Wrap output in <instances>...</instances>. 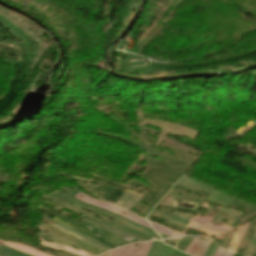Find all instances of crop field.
<instances>
[{
  "label": "crop field",
  "instance_id": "obj_1",
  "mask_svg": "<svg viewBox=\"0 0 256 256\" xmlns=\"http://www.w3.org/2000/svg\"><path fill=\"white\" fill-rule=\"evenodd\" d=\"M52 194H53V195H56V196H59V197H62V198H64V199H66V200H68V201H70V202H72V203H74V204H76V205L82 207V208L87 209V210H90V211H93V212H98V213H101V214L110 216V217L113 218V220H115V221H117V222H120V223H122V224H125V225H127V226H130V227H132V228H135V229H137V230H140V231H142V232H144V233H147V234H149V235H151V236H154V237L160 239V237H159L158 235H156L153 231H151V230H149V229H147V228H145V227H143V226H141V225H139V224H136V223H134V222H132V221H130V220H128V219H125V218H123V217H120V216H117V215H115V214L109 213V212H107V211L101 210V209H99V208L93 207V206H91V205L82 203V202H80V201H78V200H76V199H74V198H72V197H70V196H68V195L63 196V195H61V194H59V193H52Z\"/></svg>",
  "mask_w": 256,
  "mask_h": 256
},
{
  "label": "crop field",
  "instance_id": "obj_2",
  "mask_svg": "<svg viewBox=\"0 0 256 256\" xmlns=\"http://www.w3.org/2000/svg\"><path fill=\"white\" fill-rule=\"evenodd\" d=\"M41 221L59 229V230H61V231L65 232L69 235H72V236H74V237H76V238H78V239H80V240H82V241H84V242H86V243L104 251V252L111 249V248H109V247H107V246H105V245H103V244H101V243H99V242H97V241H95V240H93V239H91V238L73 230V229H70V228H68V227H66V226H64V225L46 217V216H44V215H43Z\"/></svg>",
  "mask_w": 256,
  "mask_h": 256
},
{
  "label": "crop field",
  "instance_id": "obj_3",
  "mask_svg": "<svg viewBox=\"0 0 256 256\" xmlns=\"http://www.w3.org/2000/svg\"><path fill=\"white\" fill-rule=\"evenodd\" d=\"M53 219H55L56 221H58V222H60L62 224H65V225H67V226H69L71 228H74V229H76L78 231H81V232L91 236L92 238H94V239H96V240H98V241H100V242H102V243H104V244H106V245H108V246H110L112 248L121 246V245H119L117 243H114L112 241H109V240L103 238L98 233H96V232H94V231H92V230H90V229H88V228H86V227H84V226H82L80 224H77V223H75V222H73V221H71V220H69V219H67V218H65V217H63V216H61L59 214L57 216H55ZM98 236H100V237H98Z\"/></svg>",
  "mask_w": 256,
  "mask_h": 256
},
{
  "label": "crop field",
  "instance_id": "obj_4",
  "mask_svg": "<svg viewBox=\"0 0 256 256\" xmlns=\"http://www.w3.org/2000/svg\"><path fill=\"white\" fill-rule=\"evenodd\" d=\"M220 212L225 213L226 215H228V217L220 215ZM242 214H243V212H239V211H235V210H231V209L222 207L220 209V211L216 214V216L213 218L212 221L224 223L226 225L233 227L234 223L239 220V218L242 216ZM222 219L227 220V223L223 222Z\"/></svg>",
  "mask_w": 256,
  "mask_h": 256
},
{
  "label": "crop field",
  "instance_id": "obj_5",
  "mask_svg": "<svg viewBox=\"0 0 256 256\" xmlns=\"http://www.w3.org/2000/svg\"><path fill=\"white\" fill-rule=\"evenodd\" d=\"M142 197V195L126 190L123 195L119 198V200L116 202V205H119L121 207H124L126 209L132 208L135 203Z\"/></svg>",
  "mask_w": 256,
  "mask_h": 256
},
{
  "label": "crop field",
  "instance_id": "obj_6",
  "mask_svg": "<svg viewBox=\"0 0 256 256\" xmlns=\"http://www.w3.org/2000/svg\"><path fill=\"white\" fill-rule=\"evenodd\" d=\"M135 244H139V246L134 247V244H129L125 247L110 251L107 256H136L142 243Z\"/></svg>",
  "mask_w": 256,
  "mask_h": 256
},
{
  "label": "crop field",
  "instance_id": "obj_7",
  "mask_svg": "<svg viewBox=\"0 0 256 256\" xmlns=\"http://www.w3.org/2000/svg\"><path fill=\"white\" fill-rule=\"evenodd\" d=\"M83 220L88 222V223H91V224H93L95 226H98V227H100V228H102V229H104V230H106V231H108V232H110V233H112V234H114V235H116V236L126 240V241H129V242L141 241L140 239H138L136 237H133V236L125 234L123 232L117 231V230L112 229L110 227L104 226V225L99 224V223H97L95 221H92V220H89V219H86V218H84Z\"/></svg>",
  "mask_w": 256,
  "mask_h": 256
},
{
  "label": "crop field",
  "instance_id": "obj_8",
  "mask_svg": "<svg viewBox=\"0 0 256 256\" xmlns=\"http://www.w3.org/2000/svg\"><path fill=\"white\" fill-rule=\"evenodd\" d=\"M233 199L234 197L212 190L206 201H210L226 207Z\"/></svg>",
  "mask_w": 256,
  "mask_h": 256
},
{
  "label": "crop field",
  "instance_id": "obj_9",
  "mask_svg": "<svg viewBox=\"0 0 256 256\" xmlns=\"http://www.w3.org/2000/svg\"><path fill=\"white\" fill-rule=\"evenodd\" d=\"M0 244H3V245H6V246H9V247H12L14 249H17V250H20V251H23L27 254H30L32 256H49V255H46V254H43V253H40L38 251H35L29 247H26V246H22L20 244H14V243H6V242H1L0 241Z\"/></svg>",
  "mask_w": 256,
  "mask_h": 256
},
{
  "label": "crop field",
  "instance_id": "obj_10",
  "mask_svg": "<svg viewBox=\"0 0 256 256\" xmlns=\"http://www.w3.org/2000/svg\"><path fill=\"white\" fill-rule=\"evenodd\" d=\"M40 244L45 245V246H48V247H51V248H55V249H60V250L68 251V252H71V253H74V254H77V255H81V256H95V255H92V254L87 253V252L75 250V249L68 248V247L61 246V245L54 244V243H49V242H44V241H42Z\"/></svg>",
  "mask_w": 256,
  "mask_h": 256
},
{
  "label": "crop field",
  "instance_id": "obj_11",
  "mask_svg": "<svg viewBox=\"0 0 256 256\" xmlns=\"http://www.w3.org/2000/svg\"><path fill=\"white\" fill-rule=\"evenodd\" d=\"M80 224L85 225L86 227H88V228L100 233L101 235H103V236H105V237H107L111 240H114V241H116V242H118L122 245L129 244L128 242H125V241L121 240L120 238H118V237H116V236H114V235H112V234H110L106 231L100 230V229H98V228H96V227H94V226H92V225H90V224H88L84 221H81Z\"/></svg>",
  "mask_w": 256,
  "mask_h": 256
},
{
  "label": "crop field",
  "instance_id": "obj_12",
  "mask_svg": "<svg viewBox=\"0 0 256 256\" xmlns=\"http://www.w3.org/2000/svg\"><path fill=\"white\" fill-rule=\"evenodd\" d=\"M176 215H181L183 217L190 218V219L192 218V217L185 216L183 214H178L177 212H174L171 215V217L167 220V222H170V223L177 224V225L185 227L187 225V223L189 222V220L183 219V218L178 217Z\"/></svg>",
  "mask_w": 256,
  "mask_h": 256
},
{
  "label": "crop field",
  "instance_id": "obj_13",
  "mask_svg": "<svg viewBox=\"0 0 256 256\" xmlns=\"http://www.w3.org/2000/svg\"><path fill=\"white\" fill-rule=\"evenodd\" d=\"M0 255H2V256H30L23 252H20V251H17V250H14L9 247L2 246V245H0Z\"/></svg>",
  "mask_w": 256,
  "mask_h": 256
},
{
  "label": "crop field",
  "instance_id": "obj_14",
  "mask_svg": "<svg viewBox=\"0 0 256 256\" xmlns=\"http://www.w3.org/2000/svg\"><path fill=\"white\" fill-rule=\"evenodd\" d=\"M149 222H150V224L152 225V227L155 231L160 232V233H162L164 235H167L169 237L178 236L180 234V233H177L175 231L168 230V229H166V228H164V227H162V226H160V225H158L154 222H151V221H149Z\"/></svg>",
  "mask_w": 256,
  "mask_h": 256
},
{
  "label": "crop field",
  "instance_id": "obj_15",
  "mask_svg": "<svg viewBox=\"0 0 256 256\" xmlns=\"http://www.w3.org/2000/svg\"><path fill=\"white\" fill-rule=\"evenodd\" d=\"M207 238V242L202 241V243L199 245V247L196 249L194 256H203L204 252L206 251L207 247L209 246L210 242L212 241V238Z\"/></svg>",
  "mask_w": 256,
  "mask_h": 256
},
{
  "label": "crop field",
  "instance_id": "obj_16",
  "mask_svg": "<svg viewBox=\"0 0 256 256\" xmlns=\"http://www.w3.org/2000/svg\"><path fill=\"white\" fill-rule=\"evenodd\" d=\"M201 240L195 239L193 238L192 242L190 243V245L188 246V248L185 250L186 253H189L191 255H193L195 249L197 248V246L200 244Z\"/></svg>",
  "mask_w": 256,
  "mask_h": 256
},
{
  "label": "crop field",
  "instance_id": "obj_17",
  "mask_svg": "<svg viewBox=\"0 0 256 256\" xmlns=\"http://www.w3.org/2000/svg\"><path fill=\"white\" fill-rule=\"evenodd\" d=\"M151 243L152 242H145L142 244V247L138 253V256H146L148 251H149V248L151 246Z\"/></svg>",
  "mask_w": 256,
  "mask_h": 256
},
{
  "label": "crop field",
  "instance_id": "obj_18",
  "mask_svg": "<svg viewBox=\"0 0 256 256\" xmlns=\"http://www.w3.org/2000/svg\"><path fill=\"white\" fill-rule=\"evenodd\" d=\"M255 248H256V231H255V233H254V235L252 237V240H251V242H250L246 252L251 254V253L254 252Z\"/></svg>",
  "mask_w": 256,
  "mask_h": 256
},
{
  "label": "crop field",
  "instance_id": "obj_19",
  "mask_svg": "<svg viewBox=\"0 0 256 256\" xmlns=\"http://www.w3.org/2000/svg\"><path fill=\"white\" fill-rule=\"evenodd\" d=\"M108 253V252H107ZM107 253H105V254H103V255H101V256H106L107 255Z\"/></svg>",
  "mask_w": 256,
  "mask_h": 256
},
{
  "label": "crop field",
  "instance_id": "obj_20",
  "mask_svg": "<svg viewBox=\"0 0 256 256\" xmlns=\"http://www.w3.org/2000/svg\"><path fill=\"white\" fill-rule=\"evenodd\" d=\"M244 256H248V255L244 254Z\"/></svg>",
  "mask_w": 256,
  "mask_h": 256
}]
</instances>
